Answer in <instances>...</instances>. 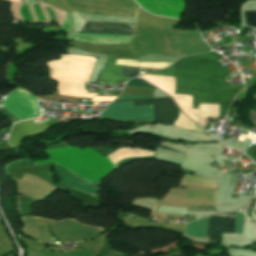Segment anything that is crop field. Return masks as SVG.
Listing matches in <instances>:
<instances>
[{"label": "crop field", "instance_id": "1", "mask_svg": "<svg viewBox=\"0 0 256 256\" xmlns=\"http://www.w3.org/2000/svg\"><path fill=\"white\" fill-rule=\"evenodd\" d=\"M221 55L215 52L183 57L178 67L151 73L160 76H174L176 93L193 95V107L198 103L220 104L219 117H225L233 96L242 85L227 86L225 78L229 73L216 59Z\"/></svg>", "mask_w": 256, "mask_h": 256}, {"label": "crop field", "instance_id": "2", "mask_svg": "<svg viewBox=\"0 0 256 256\" xmlns=\"http://www.w3.org/2000/svg\"><path fill=\"white\" fill-rule=\"evenodd\" d=\"M51 159L35 161L34 165L54 162L94 183H98L106 174L113 170V163L106 156L102 157L94 150L85 148H59L44 151Z\"/></svg>", "mask_w": 256, "mask_h": 256}, {"label": "crop field", "instance_id": "3", "mask_svg": "<svg viewBox=\"0 0 256 256\" xmlns=\"http://www.w3.org/2000/svg\"><path fill=\"white\" fill-rule=\"evenodd\" d=\"M100 118H108L116 121L149 120L154 122L153 105L132 107V101L112 103L100 115Z\"/></svg>", "mask_w": 256, "mask_h": 256}, {"label": "crop field", "instance_id": "4", "mask_svg": "<svg viewBox=\"0 0 256 256\" xmlns=\"http://www.w3.org/2000/svg\"><path fill=\"white\" fill-rule=\"evenodd\" d=\"M22 89H16L5 99L3 107L19 120L34 117L40 114L35 97Z\"/></svg>", "mask_w": 256, "mask_h": 256}, {"label": "crop field", "instance_id": "5", "mask_svg": "<svg viewBox=\"0 0 256 256\" xmlns=\"http://www.w3.org/2000/svg\"><path fill=\"white\" fill-rule=\"evenodd\" d=\"M20 12L23 17L22 21L32 24L56 21L59 22L60 26L66 20L65 11L48 6L44 4L43 1L30 5L24 3Z\"/></svg>", "mask_w": 256, "mask_h": 256}, {"label": "crop field", "instance_id": "6", "mask_svg": "<svg viewBox=\"0 0 256 256\" xmlns=\"http://www.w3.org/2000/svg\"><path fill=\"white\" fill-rule=\"evenodd\" d=\"M143 78L161 90L167 92L178 104L179 108L195 122H197L198 110L191 109L192 107V96L174 94L175 92V78L173 77H160L152 75H141Z\"/></svg>", "mask_w": 256, "mask_h": 256}, {"label": "crop field", "instance_id": "7", "mask_svg": "<svg viewBox=\"0 0 256 256\" xmlns=\"http://www.w3.org/2000/svg\"><path fill=\"white\" fill-rule=\"evenodd\" d=\"M133 100L134 105L154 104L155 123L171 124L175 122L177 107L170 97L127 99ZM119 100V101H127ZM117 102V101H115Z\"/></svg>", "mask_w": 256, "mask_h": 256}, {"label": "crop field", "instance_id": "8", "mask_svg": "<svg viewBox=\"0 0 256 256\" xmlns=\"http://www.w3.org/2000/svg\"><path fill=\"white\" fill-rule=\"evenodd\" d=\"M54 167L57 171V174L60 176L62 182L58 184L59 188L61 189L62 187H70L76 190H79L81 192L87 193L93 197L98 196V189L97 185L54 164Z\"/></svg>", "mask_w": 256, "mask_h": 256}, {"label": "crop field", "instance_id": "9", "mask_svg": "<svg viewBox=\"0 0 256 256\" xmlns=\"http://www.w3.org/2000/svg\"><path fill=\"white\" fill-rule=\"evenodd\" d=\"M149 12L165 16L179 17L184 13L185 3L183 0H136Z\"/></svg>", "mask_w": 256, "mask_h": 256}, {"label": "crop field", "instance_id": "10", "mask_svg": "<svg viewBox=\"0 0 256 256\" xmlns=\"http://www.w3.org/2000/svg\"><path fill=\"white\" fill-rule=\"evenodd\" d=\"M50 127L51 126L35 124L33 119L21 123H16L13 127L8 142L10 145L18 148L22 140L30 136L39 135L40 133L48 130Z\"/></svg>", "mask_w": 256, "mask_h": 256}, {"label": "crop field", "instance_id": "11", "mask_svg": "<svg viewBox=\"0 0 256 256\" xmlns=\"http://www.w3.org/2000/svg\"><path fill=\"white\" fill-rule=\"evenodd\" d=\"M135 24L86 22L82 31L133 33Z\"/></svg>", "mask_w": 256, "mask_h": 256}, {"label": "crop field", "instance_id": "12", "mask_svg": "<svg viewBox=\"0 0 256 256\" xmlns=\"http://www.w3.org/2000/svg\"><path fill=\"white\" fill-rule=\"evenodd\" d=\"M115 62L116 56L109 55L99 78L100 81L117 84V81H127L131 79L129 77L120 76L123 67L115 66Z\"/></svg>", "mask_w": 256, "mask_h": 256}, {"label": "crop field", "instance_id": "13", "mask_svg": "<svg viewBox=\"0 0 256 256\" xmlns=\"http://www.w3.org/2000/svg\"><path fill=\"white\" fill-rule=\"evenodd\" d=\"M221 233H234V220L209 218L206 238L217 240V235Z\"/></svg>", "mask_w": 256, "mask_h": 256}, {"label": "crop field", "instance_id": "14", "mask_svg": "<svg viewBox=\"0 0 256 256\" xmlns=\"http://www.w3.org/2000/svg\"><path fill=\"white\" fill-rule=\"evenodd\" d=\"M207 218H203L197 221H193L189 224H187L186 227V235L192 236V237H204L206 235V228H207Z\"/></svg>", "mask_w": 256, "mask_h": 256}, {"label": "crop field", "instance_id": "15", "mask_svg": "<svg viewBox=\"0 0 256 256\" xmlns=\"http://www.w3.org/2000/svg\"><path fill=\"white\" fill-rule=\"evenodd\" d=\"M177 126L184 127L191 130H196L202 132L203 130L197 125L192 123L188 118H186L182 113H180V119Z\"/></svg>", "mask_w": 256, "mask_h": 256}, {"label": "crop field", "instance_id": "16", "mask_svg": "<svg viewBox=\"0 0 256 256\" xmlns=\"http://www.w3.org/2000/svg\"><path fill=\"white\" fill-rule=\"evenodd\" d=\"M173 62H138L139 67L162 69Z\"/></svg>", "mask_w": 256, "mask_h": 256}, {"label": "crop field", "instance_id": "17", "mask_svg": "<svg viewBox=\"0 0 256 256\" xmlns=\"http://www.w3.org/2000/svg\"><path fill=\"white\" fill-rule=\"evenodd\" d=\"M21 5V1L11 2V15L14 20H20L21 16L19 14V7Z\"/></svg>", "mask_w": 256, "mask_h": 256}, {"label": "crop field", "instance_id": "18", "mask_svg": "<svg viewBox=\"0 0 256 256\" xmlns=\"http://www.w3.org/2000/svg\"><path fill=\"white\" fill-rule=\"evenodd\" d=\"M244 214L240 211L236 212V228L235 233H241L243 226Z\"/></svg>", "mask_w": 256, "mask_h": 256}, {"label": "crop field", "instance_id": "19", "mask_svg": "<svg viewBox=\"0 0 256 256\" xmlns=\"http://www.w3.org/2000/svg\"><path fill=\"white\" fill-rule=\"evenodd\" d=\"M246 23L250 26H256V11H245Z\"/></svg>", "mask_w": 256, "mask_h": 256}, {"label": "crop field", "instance_id": "20", "mask_svg": "<svg viewBox=\"0 0 256 256\" xmlns=\"http://www.w3.org/2000/svg\"><path fill=\"white\" fill-rule=\"evenodd\" d=\"M121 75L134 77L138 75V68L124 67Z\"/></svg>", "mask_w": 256, "mask_h": 256}, {"label": "crop field", "instance_id": "21", "mask_svg": "<svg viewBox=\"0 0 256 256\" xmlns=\"http://www.w3.org/2000/svg\"><path fill=\"white\" fill-rule=\"evenodd\" d=\"M127 85H135V86L155 88V87L149 85L148 83H146L145 81L140 80V79H132V80L129 81V83Z\"/></svg>", "mask_w": 256, "mask_h": 256}, {"label": "crop field", "instance_id": "22", "mask_svg": "<svg viewBox=\"0 0 256 256\" xmlns=\"http://www.w3.org/2000/svg\"><path fill=\"white\" fill-rule=\"evenodd\" d=\"M116 65L137 67V60H117Z\"/></svg>", "mask_w": 256, "mask_h": 256}, {"label": "crop field", "instance_id": "23", "mask_svg": "<svg viewBox=\"0 0 256 256\" xmlns=\"http://www.w3.org/2000/svg\"><path fill=\"white\" fill-rule=\"evenodd\" d=\"M115 97H95L91 101H111Z\"/></svg>", "mask_w": 256, "mask_h": 256}, {"label": "crop field", "instance_id": "24", "mask_svg": "<svg viewBox=\"0 0 256 256\" xmlns=\"http://www.w3.org/2000/svg\"><path fill=\"white\" fill-rule=\"evenodd\" d=\"M142 97H153V96H119V99H127V98H142Z\"/></svg>", "mask_w": 256, "mask_h": 256}, {"label": "crop field", "instance_id": "25", "mask_svg": "<svg viewBox=\"0 0 256 256\" xmlns=\"http://www.w3.org/2000/svg\"><path fill=\"white\" fill-rule=\"evenodd\" d=\"M250 115H251V118H252L254 124L256 125V111H253V110H252V111L250 112Z\"/></svg>", "mask_w": 256, "mask_h": 256}, {"label": "crop field", "instance_id": "26", "mask_svg": "<svg viewBox=\"0 0 256 256\" xmlns=\"http://www.w3.org/2000/svg\"><path fill=\"white\" fill-rule=\"evenodd\" d=\"M158 207H159L158 205H155V207L153 208L152 212H156Z\"/></svg>", "mask_w": 256, "mask_h": 256}, {"label": "crop field", "instance_id": "27", "mask_svg": "<svg viewBox=\"0 0 256 256\" xmlns=\"http://www.w3.org/2000/svg\"><path fill=\"white\" fill-rule=\"evenodd\" d=\"M3 1H16V0H3Z\"/></svg>", "mask_w": 256, "mask_h": 256}, {"label": "crop field", "instance_id": "28", "mask_svg": "<svg viewBox=\"0 0 256 256\" xmlns=\"http://www.w3.org/2000/svg\"><path fill=\"white\" fill-rule=\"evenodd\" d=\"M197 256H200V255H197Z\"/></svg>", "mask_w": 256, "mask_h": 256}]
</instances>
